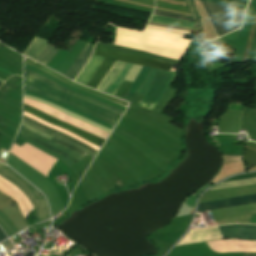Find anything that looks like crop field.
Here are the masks:
<instances>
[{"instance_id":"d3111659","label":"crop field","mask_w":256,"mask_h":256,"mask_svg":"<svg viewBox=\"0 0 256 256\" xmlns=\"http://www.w3.org/2000/svg\"><path fill=\"white\" fill-rule=\"evenodd\" d=\"M52 141H54V142H56V143H58V144H60V145L66 146V147H68V148H71V149L77 151L78 153H80V154H82V155H84V156H86V157L88 156V155L85 154L83 151H81V150H79V149H77V148H75V147H73V146H71V145H69V144H67V143H64V142H62V141H60V140H57V139H55V138H52Z\"/></svg>"},{"instance_id":"28ad6ade","label":"crop field","mask_w":256,"mask_h":256,"mask_svg":"<svg viewBox=\"0 0 256 256\" xmlns=\"http://www.w3.org/2000/svg\"><path fill=\"white\" fill-rule=\"evenodd\" d=\"M240 129L247 130L249 138L256 141V109L244 107Z\"/></svg>"},{"instance_id":"5866460e","label":"crop field","mask_w":256,"mask_h":256,"mask_svg":"<svg viewBox=\"0 0 256 256\" xmlns=\"http://www.w3.org/2000/svg\"><path fill=\"white\" fill-rule=\"evenodd\" d=\"M245 256H256V253H252V254H245Z\"/></svg>"},{"instance_id":"ae1a2a85","label":"crop field","mask_w":256,"mask_h":256,"mask_svg":"<svg viewBox=\"0 0 256 256\" xmlns=\"http://www.w3.org/2000/svg\"><path fill=\"white\" fill-rule=\"evenodd\" d=\"M142 66H138V65H134V67L132 68V70L130 71V73L128 74V76L126 77V80H129L131 82H133V80L135 79V77L138 75L140 69Z\"/></svg>"},{"instance_id":"4177f3b9","label":"crop field","mask_w":256,"mask_h":256,"mask_svg":"<svg viewBox=\"0 0 256 256\" xmlns=\"http://www.w3.org/2000/svg\"><path fill=\"white\" fill-rule=\"evenodd\" d=\"M19 133H21V134H23V135H25V136H27V137H29V138L32 137V136L28 135L27 133H25V132H23V131H21V130L19 131ZM31 139L34 140V141H36V142H38L39 144H41V145H43V146L49 148V149H51V150L57 152V153H59V154L65 156L66 158H68L69 160H71L72 162H74L75 164L80 161V160H78V159L72 157L71 155H69V154H67V153H65V152H63V151H61V150H58V149H56V148H54V147H52V146H49L48 144H46V143H44V142H42V141H40V140H38V139H36V138H34V137L31 138Z\"/></svg>"},{"instance_id":"8a807250","label":"crop field","mask_w":256,"mask_h":256,"mask_svg":"<svg viewBox=\"0 0 256 256\" xmlns=\"http://www.w3.org/2000/svg\"><path fill=\"white\" fill-rule=\"evenodd\" d=\"M25 89L45 97L55 99L63 104H66L86 114L96 117L113 126L115 125V123L120 117V115L115 114L106 109H103L88 101L68 95L26 73H25Z\"/></svg>"},{"instance_id":"00972430","label":"crop field","mask_w":256,"mask_h":256,"mask_svg":"<svg viewBox=\"0 0 256 256\" xmlns=\"http://www.w3.org/2000/svg\"><path fill=\"white\" fill-rule=\"evenodd\" d=\"M57 51L58 49L47 45L35 60L46 65L52 59V57L56 54Z\"/></svg>"},{"instance_id":"730fd06b","label":"crop field","mask_w":256,"mask_h":256,"mask_svg":"<svg viewBox=\"0 0 256 256\" xmlns=\"http://www.w3.org/2000/svg\"><path fill=\"white\" fill-rule=\"evenodd\" d=\"M23 122L29 124L30 126L36 128V129H38V130L43 131V132H45V133H47V134H49V135H51V136H54V137H56V138H58V139H60V140H62V141H65V142H67V143H69V144H71V145H74V146L80 148L81 150H83V151L89 153V154H90L91 156H93V157H94V155H95V154L92 153L91 151H89V150H87V149H85V148H83V147H81V146H79V145H77V144H75V143H73V142H71V141H69V140L63 138V137H61V136H58V135H56V134H54V133H51V132H49V131H47V130H43V129H41V128H39V127H37V126H35V125L29 123V122L26 121V120H23Z\"/></svg>"},{"instance_id":"e1f06a70","label":"crop field","mask_w":256,"mask_h":256,"mask_svg":"<svg viewBox=\"0 0 256 256\" xmlns=\"http://www.w3.org/2000/svg\"><path fill=\"white\" fill-rule=\"evenodd\" d=\"M0 46H2V47H3V46H5V45H3V44H1V43H0ZM2 47H1V48H2Z\"/></svg>"},{"instance_id":"d9b57169","label":"crop field","mask_w":256,"mask_h":256,"mask_svg":"<svg viewBox=\"0 0 256 256\" xmlns=\"http://www.w3.org/2000/svg\"><path fill=\"white\" fill-rule=\"evenodd\" d=\"M255 11H256V0H251L246 11L240 36H244L246 34L247 29L251 28Z\"/></svg>"},{"instance_id":"4a817a6b","label":"crop field","mask_w":256,"mask_h":256,"mask_svg":"<svg viewBox=\"0 0 256 256\" xmlns=\"http://www.w3.org/2000/svg\"><path fill=\"white\" fill-rule=\"evenodd\" d=\"M24 96H25V97H28V98H31V99H34V100H37V101H40V102H43V103H46V104H48V105H50V106H52V107H54V108H56V109H58V110H61V111L65 112V113H67V114H69V115H71V116H73V117H75V118H78V119H80V120H83V121H85V122H87V123H89V124H91V125H94V126L100 128V129H102V130H105V131H107V132H109V133H110V131H111V130H109V129H107V128H105V127H103V126H101V125H99V124H97V123H94V122H92V121H90V120H88V119H85V118H83V117H81V116H79V115H76V114H74V113H71V112H69V111H67V110H65V109H63V108H61V107H59V106H57V105H55V104H52V103H50V102H48V101H45V100H42V99H39V98H35V97H32V96H27V95H24Z\"/></svg>"},{"instance_id":"ac0d7876","label":"crop field","mask_w":256,"mask_h":256,"mask_svg":"<svg viewBox=\"0 0 256 256\" xmlns=\"http://www.w3.org/2000/svg\"><path fill=\"white\" fill-rule=\"evenodd\" d=\"M201 2L218 37L239 28L245 10L211 2Z\"/></svg>"},{"instance_id":"1d83c4d3","label":"crop field","mask_w":256,"mask_h":256,"mask_svg":"<svg viewBox=\"0 0 256 256\" xmlns=\"http://www.w3.org/2000/svg\"><path fill=\"white\" fill-rule=\"evenodd\" d=\"M22 125L25 126V127H27V128H29V129H31V130H33V131H35L36 133H38V134H40V135H42V136H44V137H46V138H48V139H51L50 136H48V135H46V134H44V133H42V132H40V131H37L36 129L30 127L29 125H27V124H25V123H22Z\"/></svg>"},{"instance_id":"214f88e0","label":"crop field","mask_w":256,"mask_h":256,"mask_svg":"<svg viewBox=\"0 0 256 256\" xmlns=\"http://www.w3.org/2000/svg\"><path fill=\"white\" fill-rule=\"evenodd\" d=\"M48 42L39 38H35L33 42L30 44L28 49L25 51V54L29 55L32 58H36V56L41 52V50L45 47ZM24 54V55H25ZM26 55V56H27Z\"/></svg>"},{"instance_id":"d32e631a","label":"crop field","mask_w":256,"mask_h":256,"mask_svg":"<svg viewBox=\"0 0 256 256\" xmlns=\"http://www.w3.org/2000/svg\"><path fill=\"white\" fill-rule=\"evenodd\" d=\"M0 71H3V72H5V73H7V74H10V75H14L13 73H11V72H9V71L3 69V68H0Z\"/></svg>"},{"instance_id":"92a150f3","label":"crop field","mask_w":256,"mask_h":256,"mask_svg":"<svg viewBox=\"0 0 256 256\" xmlns=\"http://www.w3.org/2000/svg\"><path fill=\"white\" fill-rule=\"evenodd\" d=\"M151 20L166 23V24L180 25V26H187V27H193L194 28L193 22L173 19V18L159 16V15H155V14L152 15Z\"/></svg>"},{"instance_id":"cbeb9de0","label":"crop field","mask_w":256,"mask_h":256,"mask_svg":"<svg viewBox=\"0 0 256 256\" xmlns=\"http://www.w3.org/2000/svg\"><path fill=\"white\" fill-rule=\"evenodd\" d=\"M151 68L143 66L139 75L137 76L136 80L132 84V86L129 88V90L125 93L123 96V99L127 100L130 102L132 99L134 93L136 90L140 87V85L143 83L145 80L146 76L148 75L149 71Z\"/></svg>"},{"instance_id":"eef30255","label":"crop field","mask_w":256,"mask_h":256,"mask_svg":"<svg viewBox=\"0 0 256 256\" xmlns=\"http://www.w3.org/2000/svg\"><path fill=\"white\" fill-rule=\"evenodd\" d=\"M207 1L226 4V5L239 7V8H243V9H245L246 4H247V1H243V0H207Z\"/></svg>"},{"instance_id":"733c2abd","label":"crop field","mask_w":256,"mask_h":256,"mask_svg":"<svg viewBox=\"0 0 256 256\" xmlns=\"http://www.w3.org/2000/svg\"><path fill=\"white\" fill-rule=\"evenodd\" d=\"M124 63L116 61L114 66L111 68L109 73L106 75V77L103 79V81L100 83V85L97 87V90H100L102 92L105 91V89L109 86V84L112 82V80L115 78V76L118 74V72L123 67ZM114 68V71L112 69Z\"/></svg>"},{"instance_id":"e52e79f7","label":"crop field","mask_w":256,"mask_h":256,"mask_svg":"<svg viewBox=\"0 0 256 256\" xmlns=\"http://www.w3.org/2000/svg\"><path fill=\"white\" fill-rule=\"evenodd\" d=\"M96 55L104 56L107 58L128 62L132 64H138V65H145L149 67H154L158 69H163L169 71L172 64L167 63L160 60L150 59V58H144V57H138V56H132L128 54H124L121 52L109 50L106 48L99 47L95 45V53Z\"/></svg>"},{"instance_id":"bd1437ed","label":"crop field","mask_w":256,"mask_h":256,"mask_svg":"<svg viewBox=\"0 0 256 256\" xmlns=\"http://www.w3.org/2000/svg\"><path fill=\"white\" fill-rule=\"evenodd\" d=\"M147 27H149V28H154V29H159V30L170 31V32L182 33V34H187V35H189V34H190V32H188V31H181V30L166 29V28L155 27V26H150V25H147Z\"/></svg>"},{"instance_id":"5142ce71","label":"crop field","mask_w":256,"mask_h":256,"mask_svg":"<svg viewBox=\"0 0 256 256\" xmlns=\"http://www.w3.org/2000/svg\"><path fill=\"white\" fill-rule=\"evenodd\" d=\"M132 66H133L132 64L125 63L124 67L116 76V78L113 80L112 84L108 87L105 93L113 95L114 92L118 89V87L121 85V83L125 79L126 75L128 74Z\"/></svg>"},{"instance_id":"028f5c9d","label":"crop field","mask_w":256,"mask_h":256,"mask_svg":"<svg viewBox=\"0 0 256 256\" xmlns=\"http://www.w3.org/2000/svg\"><path fill=\"white\" fill-rule=\"evenodd\" d=\"M0 82L4 83V80L0 79Z\"/></svg>"},{"instance_id":"412701ff","label":"crop field","mask_w":256,"mask_h":256,"mask_svg":"<svg viewBox=\"0 0 256 256\" xmlns=\"http://www.w3.org/2000/svg\"><path fill=\"white\" fill-rule=\"evenodd\" d=\"M253 177H256V173L231 177L225 181L244 179V178H253ZM252 183H256V178L222 182V183L212 187L211 189L222 188V187H235V186L247 185V184H252ZM253 202H256V194L215 200V201H209V202H203V203H199L197 212L214 210V209L225 208V207L247 204V203H253Z\"/></svg>"},{"instance_id":"34b2d1b8","label":"crop field","mask_w":256,"mask_h":256,"mask_svg":"<svg viewBox=\"0 0 256 256\" xmlns=\"http://www.w3.org/2000/svg\"><path fill=\"white\" fill-rule=\"evenodd\" d=\"M174 75L171 72L152 68L147 79L137 91V93L144 95L139 105L153 110L166 92Z\"/></svg>"},{"instance_id":"dd49c442","label":"crop field","mask_w":256,"mask_h":256,"mask_svg":"<svg viewBox=\"0 0 256 256\" xmlns=\"http://www.w3.org/2000/svg\"><path fill=\"white\" fill-rule=\"evenodd\" d=\"M115 63V60L99 57L93 55V57L90 59V61L87 63L85 68L82 70V72L79 74V76L76 78V82L85 84L89 82L95 71L97 72L94 74L90 82L88 83V86L96 89L99 82L102 80V78L107 74V72L110 70L112 65Z\"/></svg>"},{"instance_id":"b80d0937","label":"crop field","mask_w":256,"mask_h":256,"mask_svg":"<svg viewBox=\"0 0 256 256\" xmlns=\"http://www.w3.org/2000/svg\"><path fill=\"white\" fill-rule=\"evenodd\" d=\"M248 1V0H247Z\"/></svg>"},{"instance_id":"a9b5d70f","label":"crop field","mask_w":256,"mask_h":256,"mask_svg":"<svg viewBox=\"0 0 256 256\" xmlns=\"http://www.w3.org/2000/svg\"><path fill=\"white\" fill-rule=\"evenodd\" d=\"M24 119L28 120L29 122H31V123H33V124H35V125H37V126H39V127H41V128L47 129V130H49V131H51V132H54V133H56V134H58V135H61V136L65 137V138H67V139H69V140H71V141H73V142H75V143H77V144H79V145H82V146H84V147L90 149V150H91L92 152H94L95 154H96V152H97V151L91 149L90 147L84 145L83 143H81V142H79V141L73 139L72 137H70V136H68V135H66V134H64V133H62V132H60V131H57V130L52 129V128H49V127H47V126H45V125H43V124H41V123H39V122H36V121H34V120L30 119V118L25 117V116H24Z\"/></svg>"},{"instance_id":"d1516ede","label":"crop field","mask_w":256,"mask_h":256,"mask_svg":"<svg viewBox=\"0 0 256 256\" xmlns=\"http://www.w3.org/2000/svg\"><path fill=\"white\" fill-rule=\"evenodd\" d=\"M92 52H93V45L87 43L82 53L78 57L77 61L75 60L76 61L75 64L73 63L74 65L70 67L66 76L74 79L80 73L82 68L85 66Z\"/></svg>"},{"instance_id":"3316defc","label":"crop field","mask_w":256,"mask_h":256,"mask_svg":"<svg viewBox=\"0 0 256 256\" xmlns=\"http://www.w3.org/2000/svg\"><path fill=\"white\" fill-rule=\"evenodd\" d=\"M25 62L28 63V64H31V65H34V66H36V67H38V68H40V69H42L43 71L49 73L50 75H52V76H54V77H56V78H58V79H60V80H62V81H64V82H66V83H68V84H70V85H72V86H75V87H77V88H80V89H83V90H85V91L91 92V93H93V94L99 95V96H101V97L107 98V99H109V100H111V101H114V102H116V103H118V104H121V105L127 107V103H126V102L121 101V100H118V99L113 98V97H110V96H107V95H105V94H102V93H100V92H98V91H95V90H93V89H90V88H88V87L82 86V85H80V84L74 83V82H72V81L66 79L65 77H63V76L57 74L56 72L50 70L49 68H47V67H45V66H43V65H41V64H39V63H37V62H35V61H32V60H30V59L27 58V59L25 60Z\"/></svg>"},{"instance_id":"d8731c3e","label":"crop field","mask_w":256,"mask_h":256,"mask_svg":"<svg viewBox=\"0 0 256 256\" xmlns=\"http://www.w3.org/2000/svg\"><path fill=\"white\" fill-rule=\"evenodd\" d=\"M24 110L29 112V113H31V114H33V115H35V116H37V117H40V118H42V119L52 123L55 126L67 129V130H69V131H71V132H73V133H75V134H77V135L87 139L88 141L92 142L93 144H95V145H97L99 147L101 146V144L104 141V139H102V138H99V137L94 136L92 134H89V133H87L85 131H82V130H80V129H78V128L70 125V124L64 123V122H62V121H60V120H58V119H56V118L46 114V113H43V112H41V111H39V110H37V109H35L33 107L25 105V104H24Z\"/></svg>"},{"instance_id":"bc2a9ffb","label":"crop field","mask_w":256,"mask_h":256,"mask_svg":"<svg viewBox=\"0 0 256 256\" xmlns=\"http://www.w3.org/2000/svg\"><path fill=\"white\" fill-rule=\"evenodd\" d=\"M24 93H25V94H29V95H33V96H36V97H39V98H42V99H45V100H48V101H50V102H52V103H55V104H57V105H59V106L65 108V109H67V110H70V111H72V112H74V113H77V114H79V115H82V116H84V117H87V118H89V119H91V120H93V121H95V122H97V123H99V124H101V125H104V126L110 128V129L113 128V126H111V125H109V124H107V123H104V122H102V121H100V120H98V119H96V118H93V117H91V116H89V115H86V114H84V113H82V112H79V111H77V110H75V109H73V108H70V107H68V106H66V105H63V104H61V103H59V102H57V101H55V100H52V99H49V98H45V97L36 95V94L31 93V92H28V91H26V90H25Z\"/></svg>"},{"instance_id":"f4fd0767","label":"crop field","mask_w":256,"mask_h":256,"mask_svg":"<svg viewBox=\"0 0 256 256\" xmlns=\"http://www.w3.org/2000/svg\"><path fill=\"white\" fill-rule=\"evenodd\" d=\"M0 176L6 180L12 182L15 186L20 188L23 193L28 197L31 203L34 205V210L32 211L35 222L42 221L44 219L50 218L46 201L44 197H40L36 191L32 189L27 181L16 174L14 171L10 170L6 166L0 163ZM32 192H35L39 199H36Z\"/></svg>"},{"instance_id":"0bd39190","label":"crop field","mask_w":256,"mask_h":256,"mask_svg":"<svg viewBox=\"0 0 256 256\" xmlns=\"http://www.w3.org/2000/svg\"><path fill=\"white\" fill-rule=\"evenodd\" d=\"M2 85V83H0V86Z\"/></svg>"},{"instance_id":"22f410ed","label":"crop field","mask_w":256,"mask_h":256,"mask_svg":"<svg viewBox=\"0 0 256 256\" xmlns=\"http://www.w3.org/2000/svg\"><path fill=\"white\" fill-rule=\"evenodd\" d=\"M25 72L28 73V74H30V75H32V76H34V77H36V78H39V79L45 81V82H47V83H49V84H51V85H53V86H55V87H57V88L63 90V91H65V92L71 94V95H74V96H77V97H79V98L88 100V101H90V102H92V103H94V104H97V105H99V106H101V107H103V108H106V109H108V110H111V111H113V112H115V113H118V114H120V115L122 114V111H120V110H117V109H115V108H113V107H110V106H108V105H105V104H103V103H100V102H98V101H95V100H93V99L84 97V96H82V95L76 94V93H74V92H72V91H70V90H68V89H66V88H64V87H62V86H60V85H58V84H56V83H54V82H52V81H50V80L44 78V77H42V76H40V75H37V74H35V73H33V72L27 70V69H25Z\"/></svg>"},{"instance_id":"120bbe31","label":"crop field","mask_w":256,"mask_h":256,"mask_svg":"<svg viewBox=\"0 0 256 256\" xmlns=\"http://www.w3.org/2000/svg\"><path fill=\"white\" fill-rule=\"evenodd\" d=\"M5 238H7V237L5 236V234L0 229V241L4 240Z\"/></svg>"},{"instance_id":"dafd665d","label":"crop field","mask_w":256,"mask_h":256,"mask_svg":"<svg viewBox=\"0 0 256 256\" xmlns=\"http://www.w3.org/2000/svg\"><path fill=\"white\" fill-rule=\"evenodd\" d=\"M20 129L23 130V131H25V132H27V133H29V134H31V135H33L34 137H36V138H38V139H40V140H42V141H44V142H46V143H48V144H50V145H52V146L58 148V149H61V150L65 151V152H67V153L72 154L73 156H75L76 158H78V159H80V160H82V161L85 159V157L81 156L80 154H78V153H76V152H74V151H72V150H70V149H68V148H65V147H63V146H60V145H58V144H56V143H54V142H52V141H50V140H48V139H45V138L39 136L38 134H36V133H34V132H32V131H30V130H28V129L22 127V126H21Z\"/></svg>"},{"instance_id":"750c4746","label":"crop field","mask_w":256,"mask_h":256,"mask_svg":"<svg viewBox=\"0 0 256 256\" xmlns=\"http://www.w3.org/2000/svg\"><path fill=\"white\" fill-rule=\"evenodd\" d=\"M155 14H159V15H164V16H169V17H173V18H178V19H184V20H190L192 21V18L190 17H185V16H179V15H174V14H167V13H162L159 11H154Z\"/></svg>"},{"instance_id":"5a996713","label":"crop field","mask_w":256,"mask_h":256,"mask_svg":"<svg viewBox=\"0 0 256 256\" xmlns=\"http://www.w3.org/2000/svg\"><path fill=\"white\" fill-rule=\"evenodd\" d=\"M222 237L256 240V225L229 224L217 226Z\"/></svg>"}]
</instances>
